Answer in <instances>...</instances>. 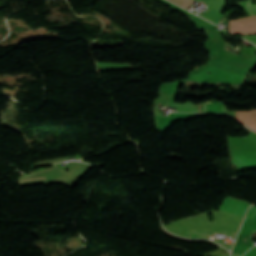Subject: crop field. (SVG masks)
Instances as JSON below:
<instances>
[{
    "instance_id": "crop-field-4",
    "label": "crop field",
    "mask_w": 256,
    "mask_h": 256,
    "mask_svg": "<svg viewBox=\"0 0 256 256\" xmlns=\"http://www.w3.org/2000/svg\"><path fill=\"white\" fill-rule=\"evenodd\" d=\"M254 232V231H253ZM254 233H256V232H254Z\"/></svg>"
},
{
    "instance_id": "crop-field-2",
    "label": "crop field",
    "mask_w": 256,
    "mask_h": 256,
    "mask_svg": "<svg viewBox=\"0 0 256 256\" xmlns=\"http://www.w3.org/2000/svg\"><path fill=\"white\" fill-rule=\"evenodd\" d=\"M186 112H198V105L190 104L186 110ZM199 112H201V104H199Z\"/></svg>"
},
{
    "instance_id": "crop-field-1",
    "label": "crop field",
    "mask_w": 256,
    "mask_h": 256,
    "mask_svg": "<svg viewBox=\"0 0 256 256\" xmlns=\"http://www.w3.org/2000/svg\"><path fill=\"white\" fill-rule=\"evenodd\" d=\"M251 24L253 26L254 32L256 33V17H249ZM249 18L237 19L235 21L230 20L229 22V31L235 33H254L252 26L250 24Z\"/></svg>"
},
{
    "instance_id": "crop-field-3",
    "label": "crop field",
    "mask_w": 256,
    "mask_h": 256,
    "mask_svg": "<svg viewBox=\"0 0 256 256\" xmlns=\"http://www.w3.org/2000/svg\"><path fill=\"white\" fill-rule=\"evenodd\" d=\"M171 1L177 3V4L181 5V6H184L189 0H171ZM192 2H193L192 0H191L190 2H188V3L184 6V8H186L187 6H189Z\"/></svg>"
}]
</instances>
